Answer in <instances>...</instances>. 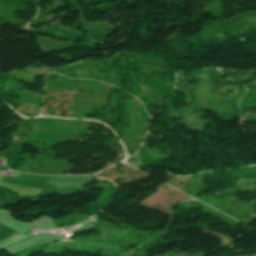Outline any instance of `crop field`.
I'll use <instances>...</instances> for the list:
<instances>
[{
    "instance_id": "8a807250",
    "label": "crop field",
    "mask_w": 256,
    "mask_h": 256,
    "mask_svg": "<svg viewBox=\"0 0 256 256\" xmlns=\"http://www.w3.org/2000/svg\"><path fill=\"white\" fill-rule=\"evenodd\" d=\"M16 236H18V234H14V235H12V236H10L9 238H7V239H5V240H3V241H1L0 242V245L1 244H3V243H6V242H8V241H10L12 238H14V237H16ZM22 236V235H21ZM28 238V237H27ZM26 239V238H25ZM24 240V239H23ZM22 241V240H21ZM20 242V241H19Z\"/></svg>"
}]
</instances>
